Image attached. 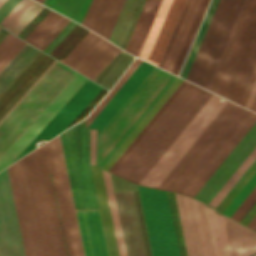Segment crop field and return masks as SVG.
<instances>
[{"label":"crop field","mask_w":256,"mask_h":256,"mask_svg":"<svg viewBox=\"0 0 256 256\" xmlns=\"http://www.w3.org/2000/svg\"><path fill=\"white\" fill-rule=\"evenodd\" d=\"M101 171H102V175H103L104 185H105V189H106V194H107V199H108L109 208H110V212H111V217H112V222H113V226H114V231H115V236H116V240H117L119 254H120V256H126L122 233H121V228H120V223H119V218H118L115 199H114V194H113V189H112L111 180H110V175L108 172H106L102 169H101Z\"/></svg>","instance_id":"obj_33"},{"label":"crop field","mask_w":256,"mask_h":256,"mask_svg":"<svg viewBox=\"0 0 256 256\" xmlns=\"http://www.w3.org/2000/svg\"><path fill=\"white\" fill-rule=\"evenodd\" d=\"M255 77H256V67H255V70H254V72H253V75H252V77H251V79H250V82H249V84H248V87H247V89H246V91H245V94H244V96H243V99H242V101H241V105H244V103H245V101H246V98H247V96H248V94H249V91H250V89H251V87H252V84H253V82H254V80H255ZM248 99V98H247ZM245 106V105H244Z\"/></svg>","instance_id":"obj_49"},{"label":"crop field","mask_w":256,"mask_h":256,"mask_svg":"<svg viewBox=\"0 0 256 256\" xmlns=\"http://www.w3.org/2000/svg\"><path fill=\"white\" fill-rule=\"evenodd\" d=\"M138 188L152 255L179 256L166 191Z\"/></svg>","instance_id":"obj_14"},{"label":"crop field","mask_w":256,"mask_h":256,"mask_svg":"<svg viewBox=\"0 0 256 256\" xmlns=\"http://www.w3.org/2000/svg\"><path fill=\"white\" fill-rule=\"evenodd\" d=\"M218 1L219 0H211V2H210V5H209V7L207 9V12H206V14L204 16V19H203L202 23H201V26H200V28H199V30L197 32V35H196V37L194 39V42H193V44L191 46V49H190V51L188 53V56H187V58L185 60V63L183 65V67H182V70H181V72L179 74V76H181L183 78H186V76L188 74V71H189V69L191 67V64H192V62L194 60L196 52H197V50L199 48V45H200V43L202 41V38H203V36L205 34V31H206V29L208 27V24H209V22L211 20V17H212V15L214 13V10H215V8L217 6Z\"/></svg>","instance_id":"obj_32"},{"label":"crop field","mask_w":256,"mask_h":256,"mask_svg":"<svg viewBox=\"0 0 256 256\" xmlns=\"http://www.w3.org/2000/svg\"><path fill=\"white\" fill-rule=\"evenodd\" d=\"M246 112L228 101L157 188L180 193Z\"/></svg>","instance_id":"obj_6"},{"label":"crop field","mask_w":256,"mask_h":256,"mask_svg":"<svg viewBox=\"0 0 256 256\" xmlns=\"http://www.w3.org/2000/svg\"><path fill=\"white\" fill-rule=\"evenodd\" d=\"M256 171V160L251 164L247 171L242 175V177L237 181V183L232 187V189L227 193V195L222 199V201L217 205L215 209L219 212L228 206L232 199L237 195V193L242 189L246 182L251 178V176ZM256 185V173L247 182L243 189L238 193L234 200L229 204V206L224 210V214L231 216V214L236 210L240 203L245 199V197L250 193V191Z\"/></svg>","instance_id":"obj_26"},{"label":"crop field","mask_w":256,"mask_h":256,"mask_svg":"<svg viewBox=\"0 0 256 256\" xmlns=\"http://www.w3.org/2000/svg\"><path fill=\"white\" fill-rule=\"evenodd\" d=\"M75 208L98 207L84 121L60 134ZM85 256H108L98 208L75 209Z\"/></svg>","instance_id":"obj_2"},{"label":"crop field","mask_w":256,"mask_h":256,"mask_svg":"<svg viewBox=\"0 0 256 256\" xmlns=\"http://www.w3.org/2000/svg\"><path fill=\"white\" fill-rule=\"evenodd\" d=\"M62 18L63 16L51 10L24 40L36 47Z\"/></svg>","instance_id":"obj_34"},{"label":"crop field","mask_w":256,"mask_h":256,"mask_svg":"<svg viewBox=\"0 0 256 256\" xmlns=\"http://www.w3.org/2000/svg\"><path fill=\"white\" fill-rule=\"evenodd\" d=\"M38 51L39 50L26 43L15 57L5 66V68L0 72V93Z\"/></svg>","instance_id":"obj_29"},{"label":"crop field","mask_w":256,"mask_h":256,"mask_svg":"<svg viewBox=\"0 0 256 256\" xmlns=\"http://www.w3.org/2000/svg\"><path fill=\"white\" fill-rule=\"evenodd\" d=\"M255 64L256 0H245L208 87L239 102Z\"/></svg>","instance_id":"obj_4"},{"label":"crop field","mask_w":256,"mask_h":256,"mask_svg":"<svg viewBox=\"0 0 256 256\" xmlns=\"http://www.w3.org/2000/svg\"><path fill=\"white\" fill-rule=\"evenodd\" d=\"M250 109L256 112V97H255V99L253 101V104H252Z\"/></svg>","instance_id":"obj_53"},{"label":"crop field","mask_w":256,"mask_h":256,"mask_svg":"<svg viewBox=\"0 0 256 256\" xmlns=\"http://www.w3.org/2000/svg\"><path fill=\"white\" fill-rule=\"evenodd\" d=\"M187 81L183 80L182 83L177 87V89L172 93V95L167 99L163 106L158 110V112L153 116V118L148 122L144 129L139 133V135L134 139V141L129 145L125 152L120 156V158L115 162V164L110 168L109 172H113L114 169L119 165V163L124 159V157L129 153V151L134 147V145L139 141V139L144 135V133L149 129V127L154 123V121L159 117V115L164 111V109L169 105V103L174 99V97L179 93V91L184 87ZM107 170V171H108Z\"/></svg>","instance_id":"obj_40"},{"label":"crop field","mask_w":256,"mask_h":256,"mask_svg":"<svg viewBox=\"0 0 256 256\" xmlns=\"http://www.w3.org/2000/svg\"><path fill=\"white\" fill-rule=\"evenodd\" d=\"M56 62L54 60L50 66L40 75V77L31 85V87L21 96V98L11 107V109L2 117L0 120V123L8 116V114L17 106V104L26 96V94L35 86V84L44 76V74L53 66V64Z\"/></svg>","instance_id":"obj_46"},{"label":"crop field","mask_w":256,"mask_h":256,"mask_svg":"<svg viewBox=\"0 0 256 256\" xmlns=\"http://www.w3.org/2000/svg\"><path fill=\"white\" fill-rule=\"evenodd\" d=\"M256 200V186L251 191V193L246 197V199L242 202V204L237 208V210L232 214L231 218L239 221L240 218L245 214V212L249 209V207Z\"/></svg>","instance_id":"obj_42"},{"label":"crop field","mask_w":256,"mask_h":256,"mask_svg":"<svg viewBox=\"0 0 256 256\" xmlns=\"http://www.w3.org/2000/svg\"><path fill=\"white\" fill-rule=\"evenodd\" d=\"M109 256H119L100 168L90 166Z\"/></svg>","instance_id":"obj_25"},{"label":"crop field","mask_w":256,"mask_h":256,"mask_svg":"<svg viewBox=\"0 0 256 256\" xmlns=\"http://www.w3.org/2000/svg\"><path fill=\"white\" fill-rule=\"evenodd\" d=\"M256 121V114L248 111L187 186L182 190L181 194L193 197L219 164L224 160L228 153L248 131V129Z\"/></svg>","instance_id":"obj_20"},{"label":"crop field","mask_w":256,"mask_h":256,"mask_svg":"<svg viewBox=\"0 0 256 256\" xmlns=\"http://www.w3.org/2000/svg\"><path fill=\"white\" fill-rule=\"evenodd\" d=\"M188 256H248L256 252V233L187 196L176 194Z\"/></svg>","instance_id":"obj_1"},{"label":"crop field","mask_w":256,"mask_h":256,"mask_svg":"<svg viewBox=\"0 0 256 256\" xmlns=\"http://www.w3.org/2000/svg\"><path fill=\"white\" fill-rule=\"evenodd\" d=\"M185 0H162L139 57L158 65Z\"/></svg>","instance_id":"obj_17"},{"label":"crop field","mask_w":256,"mask_h":256,"mask_svg":"<svg viewBox=\"0 0 256 256\" xmlns=\"http://www.w3.org/2000/svg\"><path fill=\"white\" fill-rule=\"evenodd\" d=\"M101 88L87 79L17 158L34 149L37 139L49 140L63 131Z\"/></svg>","instance_id":"obj_19"},{"label":"crop field","mask_w":256,"mask_h":256,"mask_svg":"<svg viewBox=\"0 0 256 256\" xmlns=\"http://www.w3.org/2000/svg\"><path fill=\"white\" fill-rule=\"evenodd\" d=\"M88 31L77 24L49 55L61 61Z\"/></svg>","instance_id":"obj_36"},{"label":"crop field","mask_w":256,"mask_h":256,"mask_svg":"<svg viewBox=\"0 0 256 256\" xmlns=\"http://www.w3.org/2000/svg\"><path fill=\"white\" fill-rule=\"evenodd\" d=\"M208 1L209 0H202L201 3H200V6H199V8L197 10V13H196V15L194 17V20H193L192 24H191V27H190V29L188 31V34H187V36L185 38V41H184L183 45H182L180 53H179V55L177 57V60H176V62L174 64V67H173V69L171 71L172 73H174L176 75H177V73H178V71L180 69V66H181V64L183 62V59H184V57L186 55V52H187V50L189 48V45H190L191 41H192V38H193V36L195 34V31H196V29L198 27V24H199V22H200V20L202 18V15H203V13L205 11V8H206V6L208 4Z\"/></svg>","instance_id":"obj_37"},{"label":"crop field","mask_w":256,"mask_h":256,"mask_svg":"<svg viewBox=\"0 0 256 256\" xmlns=\"http://www.w3.org/2000/svg\"><path fill=\"white\" fill-rule=\"evenodd\" d=\"M208 93H211L191 84ZM186 84L115 172L137 182L146 174L161 154L167 149L186 124L196 114L210 95ZM113 174L125 178L117 173ZM132 181L137 184V182Z\"/></svg>","instance_id":"obj_3"},{"label":"crop field","mask_w":256,"mask_h":256,"mask_svg":"<svg viewBox=\"0 0 256 256\" xmlns=\"http://www.w3.org/2000/svg\"><path fill=\"white\" fill-rule=\"evenodd\" d=\"M96 130L90 129V165H95Z\"/></svg>","instance_id":"obj_47"},{"label":"crop field","mask_w":256,"mask_h":256,"mask_svg":"<svg viewBox=\"0 0 256 256\" xmlns=\"http://www.w3.org/2000/svg\"><path fill=\"white\" fill-rule=\"evenodd\" d=\"M161 0H146L141 10L139 18L125 48L129 53L138 55L140 47L144 41L147 31L155 16Z\"/></svg>","instance_id":"obj_27"},{"label":"crop field","mask_w":256,"mask_h":256,"mask_svg":"<svg viewBox=\"0 0 256 256\" xmlns=\"http://www.w3.org/2000/svg\"><path fill=\"white\" fill-rule=\"evenodd\" d=\"M127 256H145L131 191L114 192Z\"/></svg>","instance_id":"obj_22"},{"label":"crop field","mask_w":256,"mask_h":256,"mask_svg":"<svg viewBox=\"0 0 256 256\" xmlns=\"http://www.w3.org/2000/svg\"><path fill=\"white\" fill-rule=\"evenodd\" d=\"M141 61V60H140ZM138 60H134V62L130 65L127 71L123 74V76L119 79L116 85L112 88V90L106 95V97L99 103V105L91 112V114L86 118L87 126L93 120V118L98 114V112L103 108V106L108 102V100L113 96V94L118 90V88L123 84V82L128 78V76L133 72V70L140 63Z\"/></svg>","instance_id":"obj_41"},{"label":"crop field","mask_w":256,"mask_h":256,"mask_svg":"<svg viewBox=\"0 0 256 256\" xmlns=\"http://www.w3.org/2000/svg\"><path fill=\"white\" fill-rule=\"evenodd\" d=\"M54 59L38 52L0 94V119Z\"/></svg>","instance_id":"obj_21"},{"label":"crop field","mask_w":256,"mask_h":256,"mask_svg":"<svg viewBox=\"0 0 256 256\" xmlns=\"http://www.w3.org/2000/svg\"><path fill=\"white\" fill-rule=\"evenodd\" d=\"M9 32L3 30L0 28V42L4 39V37L8 34Z\"/></svg>","instance_id":"obj_52"},{"label":"crop field","mask_w":256,"mask_h":256,"mask_svg":"<svg viewBox=\"0 0 256 256\" xmlns=\"http://www.w3.org/2000/svg\"><path fill=\"white\" fill-rule=\"evenodd\" d=\"M250 228L256 230V221L253 223V225Z\"/></svg>","instance_id":"obj_54"},{"label":"crop field","mask_w":256,"mask_h":256,"mask_svg":"<svg viewBox=\"0 0 256 256\" xmlns=\"http://www.w3.org/2000/svg\"><path fill=\"white\" fill-rule=\"evenodd\" d=\"M6 0H0V6L5 2Z\"/></svg>","instance_id":"obj_56"},{"label":"crop field","mask_w":256,"mask_h":256,"mask_svg":"<svg viewBox=\"0 0 256 256\" xmlns=\"http://www.w3.org/2000/svg\"><path fill=\"white\" fill-rule=\"evenodd\" d=\"M181 81L182 79L180 78L176 80V82L171 86V88L166 92V94L161 98V100L156 104V106L151 110V112L146 116V118L141 122V124L136 128V130L131 134V136L126 140V142L121 146V148L116 152V154L111 158V160L106 164L103 169L108 170L112 166V164L117 160V158L122 154V152L127 148V146L132 142V140L137 136V134L157 112V110L162 106V104L181 83Z\"/></svg>","instance_id":"obj_35"},{"label":"crop field","mask_w":256,"mask_h":256,"mask_svg":"<svg viewBox=\"0 0 256 256\" xmlns=\"http://www.w3.org/2000/svg\"><path fill=\"white\" fill-rule=\"evenodd\" d=\"M26 42L8 34L0 43V70L10 61V59L21 49Z\"/></svg>","instance_id":"obj_39"},{"label":"crop field","mask_w":256,"mask_h":256,"mask_svg":"<svg viewBox=\"0 0 256 256\" xmlns=\"http://www.w3.org/2000/svg\"><path fill=\"white\" fill-rule=\"evenodd\" d=\"M189 2H190V0H186V3H185V5H184V7H183V10H182L181 14H180V17H179V19H178V21H177V23H176V26H175V28H174V30H173V33H172V35H171V37H170V40H169L168 44H167V47H166V49H165V51H164V54H163V56H162V58H161V61H160L159 65H158L159 67H162V65H163V63H164V60H165V58H166V56H167V53H168V51H169V49H170V46H171V44H172V42H173V39H174L175 35H176V32H177V30H178V28H179V25H180V23H181V21H182V18H183V16H184L185 12H186V9H187V7H188V5H189Z\"/></svg>","instance_id":"obj_45"},{"label":"crop field","mask_w":256,"mask_h":256,"mask_svg":"<svg viewBox=\"0 0 256 256\" xmlns=\"http://www.w3.org/2000/svg\"><path fill=\"white\" fill-rule=\"evenodd\" d=\"M243 0H220L187 80L207 88Z\"/></svg>","instance_id":"obj_9"},{"label":"crop field","mask_w":256,"mask_h":256,"mask_svg":"<svg viewBox=\"0 0 256 256\" xmlns=\"http://www.w3.org/2000/svg\"><path fill=\"white\" fill-rule=\"evenodd\" d=\"M226 102L212 94L139 184L156 188Z\"/></svg>","instance_id":"obj_13"},{"label":"crop field","mask_w":256,"mask_h":256,"mask_svg":"<svg viewBox=\"0 0 256 256\" xmlns=\"http://www.w3.org/2000/svg\"><path fill=\"white\" fill-rule=\"evenodd\" d=\"M87 78L75 74L0 157V170L11 164Z\"/></svg>","instance_id":"obj_16"},{"label":"crop field","mask_w":256,"mask_h":256,"mask_svg":"<svg viewBox=\"0 0 256 256\" xmlns=\"http://www.w3.org/2000/svg\"><path fill=\"white\" fill-rule=\"evenodd\" d=\"M69 256H83L60 137L44 144Z\"/></svg>","instance_id":"obj_12"},{"label":"crop field","mask_w":256,"mask_h":256,"mask_svg":"<svg viewBox=\"0 0 256 256\" xmlns=\"http://www.w3.org/2000/svg\"><path fill=\"white\" fill-rule=\"evenodd\" d=\"M253 219V218H252ZM256 220V216L254 217V219L249 223L248 227L251 226V224Z\"/></svg>","instance_id":"obj_55"},{"label":"crop field","mask_w":256,"mask_h":256,"mask_svg":"<svg viewBox=\"0 0 256 256\" xmlns=\"http://www.w3.org/2000/svg\"><path fill=\"white\" fill-rule=\"evenodd\" d=\"M91 0H45L44 5L82 23Z\"/></svg>","instance_id":"obj_31"},{"label":"crop field","mask_w":256,"mask_h":256,"mask_svg":"<svg viewBox=\"0 0 256 256\" xmlns=\"http://www.w3.org/2000/svg\"><path fill=\"white\" fill-rule=\"evenodd\" d=\"M42 7L33 0H20L0 25L2 24L1 27L17 35Z\"/></svg>","instance_id":"obj_28"},{"label":"crop field","mask_w":256,"mask_h":256,"mask_svg":"<svg viewBox=\"0 0 256 256\" xmlns=\"http://www.w3.org/2000/svg\"><path fill=\"white\" fill-rule=\"evenodd\" d=\"M119 51V48L89 31L62 61L94 79Z\"/></svg>","instance_id":"obj_15"},{"label":"crop field","mask_w":256,"mask_h":256,"mask_svg":"<svg viewBox=\"0 0 256 256\" xmlns=\"http://www.w3.org/2000/svg\"><path fill=\"white\" fill-rule=\"evenodd\" d=\"M140 2H141V0H139V2H138V5H137V7H136V9H135V12H134V14H133V16H132V19H131V21H130V23H129V26H128V28H127V31H126V33H125V35H124V38H123L121 44H123V42H124V40H125V37H126V35H127V33H128V30H129V28H130V26H131V23H132V21H133V19H134V16H135L136 12H137V9H138V7H139V5H140ZM121 44H120L119 47H122Z\"/></svg>","instance_id":"obj_51"},{"label":"crop field","mask_w":256,"mask_h":256,"mask_svg":"<svg viewBox=\"0 0 256 256\" xmlns=\"http://www.w3.org/2000/svg\"><path fill=\"white\" fill-rule=\"evenodd\" d=\"M255 94H256V80H255V82H254V84H253V87H252V89H251V91H250V94H249V96H248V99H247V101H246V103H245V107L250 108V106H251V104H252V101H253V99H254Z\"/></svg>","instance_id":"obj_50"},{"label":"crop field","mask_w":256,"mask_h":256,"mask_svg":"<svg viewBox=\"0 0 256 256\" xmlns=\"http://www.w3.org/2000/svg\"><path fill=\"white\" fill-rule=\"evenodd\" d=\"M60 62L45 74L0 125V156L75 74Z\"/></svg>","instance_id":"obj_7"},{"label":"crop field","mask_w":256,"mask_h":256,"mask_svg":"<svg viewBox=\"0 0 256 256\" xmlns=\"http://www.w3.org/2000/svg\"><path fill=\"white\" fill-rule=\"evenodd\" d=\"M76 25V23L70 21L64 29L50 42V44L43 50L46 53H50L55 46L69 33V31Z\"/></svg>","instance_id":"obj_43"},{"label":"crop field","mask_w":256,"mask_h":256,"mask_svg":"<svg viewBox=\"0 0 256 256\" xmlns=\"http://www.w3.org/2000/svg\"><path fill=\"white\" fill-rule=\"evenodd\" d=\"M125 0H92L82 25L109 39Z\"/></svg>","instance_id":"obj_24"},{"label":"crop field","mask_w":256,"mask_h":256,"mask_svg":"<svg viewBox=\"0 0 256 256\" xmlns=\"http://www.w3.org/2000/svg\"><path fill=\"white\" fill-rule=\"evenodd\" d=\"M0 256H25L6 169L0 173Z\"/></svg>","instance_id":"obj_18"},{"label":"crop field","mask_w":256,"mask_h":256,"mask_svg":"<svg viewBox=\"0 0 256 256\" xmlns=\"http://www.w3.org/2000/svg\"><path fill=\"white\" fill-rule=\"evenodd\" d=\"M200 1L201 0H191L184 19L171 46V49L168 53V56L165 60V63L162 67L163 69L171 71Z\"/></svg>","instance_id":"obj_30"},{"label":"crop field","mask_w":256,"mask_h":256,"mask_svg":"<svg viewBox=\"0 0 256 256\" xmlns=\"http://www.w3.org/2000/svg\"><path fill=\"white\" fill-rule=\"evenodd\" d=\"M19 0H7L0 7V21L4 18V16L17 4Z\"/></svg>","instance_id":"obj_48"},{"label":"crop field","mask_w":256,"mask_h":256,"mask_svg":"<svg viewBox=\"0 0 256 256\" xmlns=\"http://www.w3.org/2000/svg\"><path fill=\"white\" fill-rule=\"evenodd\" d=\"M37 1L40 2V3H43L44 0H37Z\"/></svg>","instance_id":"obj_57"},{"label":"crop field","mask_w":256,"mask_h":256,"mask_svg":"<svg viewBox=\"0 0 256 256\" xmlns=\"http://www.w3.org/2000/svg\"><path fill=\"white\" fill-rule=\"evenodd\" d=\"M156 67L98 135L97 165L101 168L175 80Z\"/></svg>","instance_id":"obj_5"},{"label":"crop field","mask_w":256,"mask_h":256,"mask_svg":"<svg viewBox=\"0 0 256 256\" xmlns=\"http://www.w3.org/2000/svg\"><path fill=\"white\" fill-rule=\"evenodd\" d=\"M26 256H48L27 156L7 167Z\"/></svg>","instance_id":"obj_8"},{"label":"crop field","mask_w":256,"mask_h":256,"mask_svg":"<svg viewBox=\"0 0 256 256\" xmlns=\"http://www.w3.org/2000/svg\"><path fill=\"white\" fill-rule=\"evenodd\" d=\"M255 145L256 122L234 147V149L229 153V155L220 164V166L215 170V172L210 176V178L205 182V184L200 188V190L195 194L194 198L208 204ZM255 158L256 146L208 205L215 208L216 205L221 201V199L250 166V164L255 160Z\"/></svg>","instance_id":"obj_11"},{"label":"crop field","mask_w":256,"mask_h":256,"mask_svg":"<svg viewBox=\"0 0 256 256\" xmlns=\"http://www.w3.org/2000/svg\"><path fill=\"white\" fill-rule=\"evenodd\" d=\"M153 66L142 61L88 127L98 128L99 134L137 86L152 70Z\"/></svg>","instance_id":"obj_23"},{"label":"crop field","mask_w":256,"mask_h":256,"mask_svg":"<svg viewBox=\"0 0 256 256\" xmlns=\"http://www.w3.org/2000/svg\"><path fill=\"white\" fill-rule=\"evenodd\" d=\"M138 0H126L109 41L119 45Z\"/></svg>","instance_id":"obj_38"},{"label":"crop field","mask_w":256,"mask_h":256,"mask_svg":"<svg viewBox=\"0 0 256 256\" xmlns=\"http://www.w3.org/2000/svg\"><path fill=\"white\" fill-rule=\"evenodd\" d=\"M69 21L70 20H68L67 18L64 17L58 23V25L43 39V41L37 47L43 50Z\"/></svg>","instance_id":"obj_44"},{"label":"crop field","mask_w":256,"mask_h":256,"mask_svg":"<svg viewBox=\"0 0 256 256\" xmlns=\"http://www.w3.org/2000/svg\"><path fill=\"white\" fill-rule=\"evenodd\" d=\"M28 157L48 254L49 256H68L51 179L48 176L49 171L44 147L41 146L34 150L28 154Z\"/></svg>","instance_id":"obj_10"}]
</instances>
